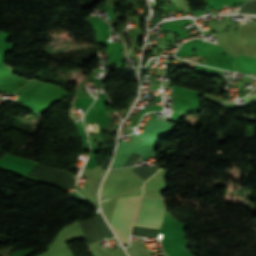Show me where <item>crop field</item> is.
I'll use <instances>...</instances> for the list:
<instances>
[{
    "instance_id": "8a807250",
    "label": "crop field",
    "mask_w": 256,
    "mask_h": 256,
    "mask_svg": "<svg viewBox=\"0 0 256 256\" xmlns=\"http://www.w3.org/2000/svg\"><path fill=\"white\" fill-rule=\"evenodd\" d=\"M140 197L141 196L119 197L116 201L110 225L122 244H128L130 227Z\"/></svg>"
},
{
    "instance_id": "ac0d7876",
    "label": "crop field",
    "mask_w": 256,
    "mask_h": 256,
    "mask_svg": "<svg viewBox=\"0 0 256 256\" xmlns=\"http://www.w3.org/2000/svg\"><path fill=\"white\" fill-rule=\"evenodd\" d=\"M165 210L163 197H142L140 208L135 220L136 225L159 229Z\"/></svg>"
}]
</instances>
